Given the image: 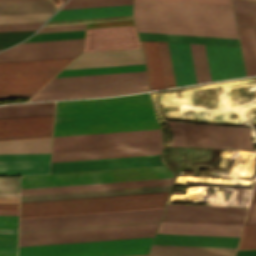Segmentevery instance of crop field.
I'll return each instance as SVG.
<instances>
[{
	"label": "crop field",
	"instance_id": "obj_1",
	"mask_svg": "<svg viewBox=\"0 0 256 256\" xmlns=\"http://www.w3.org/2000/svg\"><path fill=\"white\" fill-rule=\"evenodd\" d=\"M154 128L148 93L56 102L54 136Z\"/></svg>",
	"mask_w": 256,
	"mask_h": 256
},
{
	"label": "crop field",
	"instance_id": "obj_2",
	"mask_svg": "<svg viewBox=\"0 0 256 256\" xmlns=\"http://www.w3.org/2000/svg\"><path fill=\"white\" fill-rule=\"evenodd\" d=\"M138 31L238 38L232 7L135 0Z\"/></svg>",
	"mask_w": 256,
	"mask_h": 256
},
{
	"label": "crop field",
	"instance_id": "obj_3",
	"mask_svg": "<svg viewBox=\"0 0 256 256\" xmlns=\"http://www.w3.org/2000/svg\"><path fill=\"white\" fill-rule=\"evenodd\" d=\"M169 192L21 203L20 218L164 207Z\"/></svg>",
	"mask_w": 256,
	"mask_h": 256
},
{
	"label": "crop field",
	"instance_id": "obj_4",
	"mask_svg": "<svg viewBox=\"0 0 256 256\" xmlns=\"http://www.w3.org/2000/svg\"><path fill=\"white\" fill-rule=\"evenodd\" d=\"M73 59L0 64V94L38 91Z\"/></svg>",
	"mask_w": 256,
	"mask_h": 256
},
{
	"label": "crop field",
	"instance_id": "obj_5",
	"mask_svg": "<svg viewBox=\"0 0 256 256\" xmlns=\"http://www.w3.org/2000/svg\"><path fill=\"white\" fill-rule=\"evenodd\" d=\"M167 177H173V174L165 166H158L21 177V188Z\"/></svg>",
	"mask_w": 256,
	"mask_h": 256
},
{
	"label": "crop field",
	"instance_id": "obj_6",
	"mask_svg": "<svg viewBox=\"0 0 256 256\" xmlns=\"http://www.w3.org/2000/svg\"><path fill=\"white\" fill-rule=\"evenodd\" d=\"M172 145L248 148L249 128L170 124Z\"/></svg>",
	"mask_w": 256,
	"mask_h": 256
},
{
	"label": "crop field",
	"instance_id": "obj_7",
	"mask_svg": "<svg viewBox=\"0 0 256 256\" xmlns=\"http://www.w3.org/2000/svg\"><path fill=\"white\" fill-rule=\"evenodd\" d=\"M161 217L20 227L19 238L151 229Z\"/></svg>",
	"mask_w": 256,
	"mask_h": 256
},
{
	"label": "crop field",
	"instance_id": "obj_8",
	"mask_svg": "<svg viewBox=\"0 0 256 256\" xmlns=\"http://www.w3.org/2000/svg\"><path fill=\"white\" fill-rule=\"evenodd\" d=\"M155 142L160 129L54 137L52 150Z\"/></svg>",
	"mask_w": 256,
	"mask_h": 256
},
{
	"label": "crop field",
	"instance_id": "obj_9",
	"mask_svg": "<svg viewBox=\"0 0 256 256\" xmlns=\"http://www.w3.org/2000/svg\"><path fill=\"white\" fill-rule=\"evenodd\" d=\"M83 39L20 43L0 52V63L69 58L82 52Z\"/></svg>",
	"mask_w": 256,
	"mask_h": 256
},
{
	"label": "crop field",
	"instance_id": "obj_10",
	"mask_svg": "<svg viewBox=\"0 0 256 256\" xmlns=\"http://www.w3.org/2000/svg\"><path fill=\"white\" fill-rule=\"evenodd\" d=\"M153 237L19 247L18 256L149 247Z\"/></svg>",
	"mask_w": 256,
	"mask_h": 256
},
{
	"label": "crop field",
	"instance_id": "obj_11",
	"mask_svg": "<svg viewBox=\"0 0 256 256\" xmlns=\"http://www.w3.org/2000/svg\"><path fill=\"white\" fill-rule=\"evenodd\" d=\"M141 47L134 26L87 29L84 51Z\"/></svg>",
	"mask_w": 256,
	"mask_h": 256
},
{
	"label": "crop field",
	"instance_id": "obj_12",
	"mask_svg": "<svg viewBox=\"0 0 256 256\" xmlns=\"http://www.w3.org/2000/svg\"><path fill=\"white\" fill-rule=\"evenodd\" d=\"M205 47L212 81L245 76L239 47Z\"/></svg>",
	"mask_w": 256,
	"mask_h": 256
},
{
	"label": "crop field",
	"instance_id": "obj_13",
	"mask_svg": "<svg viewBox=\"0 0 256 256\" xmlns=\"http://www.w3.org/2000/svg\"><path fill=\"white\" fill-rule=\"evenodd\" d=\"M163 164L160 155L51 163V173Z\"/></svg>",
	"mask_w": 256,
	"mask_h": 256
},
{
	"label": "crop field",
	"instance_id": "obj_14",
	"mask_svg": "<svg viewBox=\"0 0 256 256\" xmlns=\"http://www.w3.org/2000/svg\"><path fill=\"white\" fill-rule=\"evenodd\" d=\"M144 63L141 48L83 52L65 69Z\"/></svg>",
	"mask_w": 256,
	"mask_h": 256
},
{
	"label": "crop field",
	"instance_id": "obj_15",
	"mask_svg": "<svg viewBox=\"0 0 256 256\" xmlns=\"http://www.w3.org/2000/svg\"><path fill=\"white\" fill-rule=\"evenodd\" d=\"M164 208L20 219V226L161 216Z\"/></svg>",
	"mask_w": 256,
	"mask_h": 256
},
{
	"label": "crop field",
	"instance_id": "obj_16",
	"mask_svg": "<svg viewBox=\"0 0 256 256\" xmlns=\"http://www.w3.org/2000/svg\"><path fill=\"white\" fill-rule=\"evenodd\" d=\"M53 115L0 119V138L52 134Z\"/></svg>",
	"mask_w": 256,
	"mask_h": 256
},
{
	"label": "crop field",
	"instance_id": "obj_17",
	"mask_svg": "<svg viewBox=\"0 0 256 256\" xmlns=\"http://www.w3.org/2000/svg\"><path fill=\"white\" fill-rule=\"evenodd\" d=\"M50 154L0 155V174L49 173Z\"/></svg>",
	"mask_w": 256,
	"mask_h": 256
},
{
	"label": "crop field",
	"instance_id": "obj_18",
	"mask_svg": "<svg viewBox=\"0 0 256 256\" xmlns=\"http://www.w3.org/2000/svg\"><path fill=\"white\" fill-rule=\"evenodd\" d=\"M147 84L146 75L50 82L41 91L55 92Z\"/></svg>",
	"mask_w": 256,
	"mask_h": 256
},
{
	"label": "crop field",
	"instance_id": "obj_19",
	"mask_svg": "<svg viewBox=\"0 0 256 256\" xmlns=\"http://www.w3.org/2000/svg\"><path fill=\"white\" fill-rule=\"evenodd\" d=\"M155 231H156V229L123 231V232H109V233H95V234H81V235H67V236H53V237H39V238H25V239H19V246L79 242V241H93V240H106V239H120V238H133V237H147V236H153Z\"/></svg>",
	"mask_w": 256,
	"mask_h": 256
},
{
	"label": "crop field",
	"instance_id": "obj_20",
	"mask_svg": "<svg viewBox=\"0 0 256 256\" xmlns=\"http://www.w3.org/2000/svg\"><path fill=\"white\" fill-rule=\"evenodd\" d=\"M242 226L161 222L156 233L239 237Z\"/></svg>",
	"mask_w": 256,
	"mask_h": 256
},
{
	"label": "crop field",
	"instance_id": "obj_21",
	"mask_svg": "<svg viewBox=\"0 0 256 256\" xmlns=\"http://www.w3.org/2000/svg\"><path fill=\"white\" fill-rule=\"evenodd\" d=\"M172 179L173 178L125 181V182H111V183H97V184H83V185H69V186H55V187H41V188H27V189H21V195L82 191V190H96V189H110V188H123V187H137V186H151V185H165V184H171Z\"/></svg>",
	"mask_w": 256,
	"mask_h": 256
},
{
	"label": "crop field",
	"instance_id": "obj_22",
	"mask_svg": "<svg viewBox=\"0 0 256 256\" xmlns=\"http://www.w3.org/2000/svg\"><path fill=\"white\" fill-rule=\"evenodd\" d=\"M171 185L21 196V202L169 191Z\"/></svg>",
	"mask_w": 256,
	"mask_h": 256
},
{
	"label": "crop field",
	"instance_id": "obj_23",
	"mask_svg": "<svg viewBox=\"0 0 256 256\" xmlns=\"http://www.w3.org/2000/svg\"><path fill=\"white\" fill-rule=\"evenodd\" d=\"M161 143L52 151V159L160 151Z\"/></svg>",
	"mask_w": 256,
	"mask_h": 256
},
{
	"label": "crop field",
	"instance_id": "obj_24",
	"mask_svg": "<svg viewBox=\"0 0 256 256\" xmlns=\"http://www.w3.org/2000/svg\"><path fill=\"white\" fill-rule=\"evenodd\" d=\"M168 45L176 86L196 83L189 44Z\"/></svg>",
	"mask_w": 256,
	"mask_h": 256
},
{
	"label": "crop field",
	"instance_id": "obj_25",
	"mask_svg": "<svg viewBox=\"0 0 256 256\" xmlns=\"http://www.w3.org/2000/svg\"><path fill=\"white\" fill-rule=\"evenodd\" d=\"M239 238L156 234L152 244L236 248Z\"/></svg>",
	"mask_w": 256,
	"mask_h": 256
},
{
	"label": "crop field",
	"instance_id": "obj_26",
	"mask_svg": "<svg viewBox=\"0 0 256 256\" xmlns=\"http://www.w3.org/2000/svg\"><path fill=\"white\" fill-rule=\"evenodd\" d=\"M245 215L165 211L162 221L242 225Z\"/></svg>",
	"mask_w": 256,
	"mask_h": 256
},
{
	"label": "crop field",
	"instance_id": "obj_27",
	"mask_svg": "<svg viewBox=\"0 0 256 256\" xmlns=\"http://www.w3.org/2000/svg\"><path fill=\"white\" fill-rule=\"evenodd\" d=\"M146 90H148L147 85H141V86L117 87V88L43 93V94H36L29 101L66 99V98H77V97L111 96V95H119V94H125V93L142 92Z\"/></svg>",
	"mask_w": 256,
	"mask_h": 256
},
{
	"label": "crop field",
	"instance_id": "obj_28",
	"mask_svg": "<svg viewBox=\"0 0 256 256\" xmlns=\"http://www.w3.org/2000/svg\"><path fill=\"white\" fill-rule=\"evenodd\" d=\"M132 5L59 10L49 21L131 15Z\"/></svg>",
	"mask_w": 256,
	"mask_h": 256
},
{
	"label": "crop field",
	"instance_id": "obj_29",
	"mask_svg": "<svg viewBox=\"0 0 256 256\" xmlns=\"http://www.w3.org/2000/svg\"><path fill=\"white\" fill-rule=\"evenodd\" d=\"M236 249L152 245L148 255L234 256Z\"/></svg>",
	"mask_w": 256,
	"mask_h": 256
},
{
	"label": "crop field",
	"instance_id": "obj_30",
	"mask_svg": "<svg viewBox=\"0 0 256 256\" xmlns=\"http://www.w3.org/2000/svg\"><path fill=\"white\" fill-rule=\"evenodd\" d=\"M47 0H20L0 2V15L54 12Z\"/></svg>",
	"mask_w": 256,
	"mask_h": 256
},
{
	"label": "crop field",
	"instance_id": "obj_31",
	"mask_svg": "<svg viewBox=\"0 0 256 256\" xmlns=\"http://www.w3.org/2000/svg\"><path fill=\"white\" fill-rule=\"evenodd\" d=\"M140 39L239 46L238 39L138 32Z\"/></svg>",
	"mask_w": 256,
	"mask_h": 256
},
{
	"label": "crop field",
	"instance_id": "obj_32",
	"mask_svg": "<svg viewBox=\"0 0 256 256\" xmlns=\"http://www.w3.org/2000/svg\"><path fill=\"white\" fill-rule=\"evenodd\" d=\"M51 138L0 142V154L50 153Z\"/></svg>",
	"mask_w": 256,
	"mask_h": 256
},
{
	"label": "crop field",
	"instance_id": "obj_33",
	"mask_svg": "<svg viewBox=\"0 0 256 256\" xmlns=\"http://www.w3.org/2000/svg\"><path fill=\"white\" fill-rule=\"evenodd\" d=\"M247 76L256 75V28L237 26Z\"/></svg>",
	"mask_w": 256,
	"mask_h": 256
},
{
	"label": "crop field",
	"instance_id": "obj_34",
	"mask_svg": "<svg viewBox=\"0 0 256 256\" xmlns=\"http://www.w3.org/2000/svg\"><path fill=\"white\" fill-rule=\"evenodd\" d=\"M54 102L0 106V118L53 114Z\"/></svg>",
	"mask_w": 256,
	"mask_h": 256
},
{
	"label": "crop field",
	"instance_id": "obj_35",
	"mask_svg": "<svg viewBox=\"0 0 256 256\" xmlns=\"http://www.w3.org/2000/svg\"><path fill=\"white\" fill-rule=\"evenodd\" d=\"M197 83L211 81L204 45L190 44Z\"/></svg>",
	"mask_w": 256,
	"mask_h": 256
},
{
	"label": "crop field",
	"instance_id": "obj_36",
	"mask_svg": "<svg viewBox=\"0 0 256 256\" xmlns=\"http://www.w3.org/2000/svg\"><path fill=\"white\" fill-rule=\"evenodd\" d=\"M139 70H145L144 64L63 70L56 77L87 75V74H100V73H113V72H126V71H139Z\"/></svg>",
	"mask_w": 256,
	"mask_h": 256
},
{
	"label": "crop field",
	"instance_id": "obj_37",
	"mask_svg": "<svg viewBox=\"0 0 256 256\" xmlns=\"http://www.w3.org/2000/svg\"><path fill=\"white\" fill-rule=\"evenodd\" d=\"M154 89L165 88L156 42L146 41Z\"/></svg>",
	"mask_w": 256,
	"mask_h": 256
},
{
	"label": "crop field",
	"instance_id": "obj_38",
	"mask_svg": "<svg viewBox=\"0 0 256 256\" xmlns=\"http://www.w3.org/2000/svg\"><path fill=\"white\" fill-rule=\"evenodd\" d=\"M247 208L167 204L165 210L245 214Z\"/></svg>",
	"mask_w": 256,
	"mask_h": 256
},
{
	"label": "crop field",
	"instance_id": "obj_39",
	"mask_svg": "<svg viewBox=\"0 0 256 256\" xmlns=\"http://www.w3.org/2000/svg\"><path fill=\"white\" fill-rule=\"evenodd\" d=\"M166 88L175 86L167 43L157 42Z\"/></svg>",
	"mask_w": 256,
	"mask_h": 256
},
{
	"label": "crop field",
	"instance_id": "obj_40",
	"mask_svg": "<svg viewBox=\"0 0 256 256\" xmlns=\"http://www.w3.org/2000/svg\"><path fill=\"white\" fill-rule=\"evenodd\" d=\"M148 249L149 248L84 252V253H69V254H54V255H40V256H126V255L147 254Z\"/></svg>",
	"mask_w": 256,
	"mask_h": 256
},
{
	"label": "crop field",
	"instance_id": "obj_41",
	"mask_svg": "<svg viewBox=\"0 0 256 256\" xmlns=\"http://www.w3.org/2000/svg\"><path fill=\"white\" fill-rule=\"evenodd\" d=\"M133 0H69L61 9L132 4Z\"/></svg>",
	"mask_w": 256,
	"mask_h": 256
},
{
	"label": "crop field",
	"instance_id": "obj_42",
	"mask_svg": "<svg viewBox=\"0 0 256 256\" xmlns=\"http://www.w3.org/2000/svg\"><path fill=\"white\" fill-rule=\"evenodd\" d=\"M83 37H84V30L42 33V34H34L32 37H30L28 40H26L24 42L60 40V39H76V38H83Z\"/></svg>",
	"mask_w": 256,
	"mask_h": 256
},
{
	"label": "crop field",
	"instance_id": "obj_43",
	"mask_svg": "<svg viewBox=\"0 0 256 256\" xmlns=\"http://www.w3.org/2000/svg\"><path fill=\"white\" fill-rule=\"evenodd\" d=\"M52 13L0 16V23L45 21Z\"/></svg>",
	"mask_w": 256,
	"mask_h": 256
},
{
	"label": "crop field",
	"instance_id": "obj_44",
	"mask_svg": "<svg viewBox=\"0 0 256 256\" xmlns=\"http://www.w3.org/2000/svg\"><path fill=\"white\" fill-rule=\"evenodd\" d=\"M256 248V224L245 225L238 249Z\"/></svg>",
	"mask_w": 256,
	"mask_h": 256
},
{
	"label": "crop field",
	"instance_id": "obj_45",
	"mask_svg": "<svg viewBox=\"0 0 256 256\" xmlns=\"http://www.w3.org/2000/svg\"><path fill=\"white\" fill-rule=\"evenodd\" d=\"M0 193H19V177H0Z\"/></svg>",
	"mask_w": 256,
	"mask_h": 256
},
{
	"label": "crop field",
	"instance_id": "obj_46",
	"mask_svg": "<svg viewBox=\"0 0 256 256\" xmlns=\"http://www.w3.org/2000/svg\"><path fill=\"white\" fill-rule=\"evenodd\" d=\"M17 234H0V251H16Z\"/></svg>",
	"mask_w": 256,
	"mask_h": 256
},
{
	"label": "crop field",
	"instance_id": "obj_47",
	"mask_svg": "<svg viewBox=\"0 0 256 256\" xmlns=\"http://www.w3.org/2000/svg\"><path fill=\"white\" fill-rule=\"evenodd\" d=\"M235 11L256 13L255 0H233Z\"/></svg>",
	"mask_w": 256,
	"mask_h": 256
},
{
	"label": "crop field",
	"instance_id": "obj_48",
	"mask_svg": "<svg viewBox=\"0 0 256 256\" xmlns=\"http://www.w3.org/2000/svg\"><path fill=\"white\" fill-rule=\"evenodd\" d=\"M140 74H146V72L145 71H139V72H126V73H113V74L61 77V78H54L52 81L71 80V79H85V78H98V77H112V76H126V75H140Z\"/></svg>",
	"mask_w": 256,
	"mask_h": 256
},
{
	"label": "crop field",
	"instance_id": "obj_49",
	"mask_svg": "<svg viewBox=\"0 0 256 256\" xmlns=\"http://www.w3.org/2000/svg\"><path fill=\"white\" fill-rule=\"evenodd\" d=\"M43 22L0 24V31L37 29Z\"/></svg>",
	"mask_w": 256,
	"mask_h": 256
},
{
	"label": "crop field",
	"instance_id": "obj_50",
	"mask_svg": "<svg viewBox=\"0 0 256 256\" xmlns=\"http://www.w3.org/2000/svg\"><path fill=\"white\" fill-rule=\"evenodd\" d=\"M156 1H170V2H184V3H198V4H212V5L232 6L231 0H156Z\"/></svg>",
	"mask_w": 256,
	"mask_h": 256
},
{
	"label": "crop field",
	"instance_id": "obj_51",
	"mask_svg": "<svg viewBox=\"0 0 256 256\" xmlns=\"http://www.w3.org/2000/svg\"><path fill=\"white\" fill-rule=\"evenodd\" d=\"M237 24L256 26V14L235 12Z\"/></svg>",
	"mask_w": 256,
	"mask_h": 256
},
{
	"label": "crop field",
	"instance_id": "obj_52",
	"mask_svg": "<svg viewBox=\"0 0 256 256\" xmlns=\"http://www.w3.org/2000/svg\"><path fill=\"white\" fill-rule=\"evenodd\" d=\"M85 24L42 27L37 33L84 29Z\"/></svg>",
	"mask_w": 256,
	"mask_h": 256
},
{
	"label": "crop field",
	"instance_id": "obj_53",
	"mask_svg": "<svg viewBox=\"0 0 256 256\" xmlns=\"http://www.w3.org/2000/svg\"><path fill=\"white\" fill-rule=\"evenodd\" d=\"M154 154H160V152L140 153V154H126V155H113V156H99V157H86V158H72V159H58V160H52L51 162L71 161V160H85V159H99V158H112V157H126V156H140V155H154Z\"/></svg>",
	"mask_w": 256,
	"mask_h": 256
},
{
	"label": "crop field",
	"instance_id": "obj_54",
	"mask_svg": "<svg viewBox=\"0 0 256 256\" xmlns=\"http://www.w3.org/2000/svg\"><path fill=\"white\" fill-rule=\"evenodd\" d=\"M18 216H0V228H17Z\"/></svg>",
	"mask_w": 256,
	"mask_h": 256
},
{
	"label": "crop field",
	"instance_id": "obj_55",
	"mask_svg": "<svg viewBox=\"0 0 256 256\" xmlns=\"http://www.w3.org/2000/svg\"><path fill=\"white\" fill-rule=\"evenodd\" d=\"M134 25L133 21L87 24V28Z\"/></svg>",
	"mask_w": 256,
	"mask_h": 256
},
{
	"label": "crop field",
	"instance_id": "obj_56",
	"mask_svg": "<svg viewBox=\"0 0 256 256\" xmlns=\"http://www.w3.org/2000/svg\"><path fill=\"white\" fill-rule=\"evenodd\" d=\"M256 223V203H250L245 224Z\"/></svg>",
	"mask_w": 256,
	"mask_h": 256
},
{
	"label": "crop field",
	"instance_id": "obj_57",
	"mask_svg": "<svg viewBox=\"0 0 256 256\" xmlns=\"http://www.w3.org/2000/svg\"><path fill=\"white\" fill-rule=\"evenodd\" d=\"M36 92L30 93H16V94H1L0 99H9V98H23V97H31Z\"/></svg>",
	"mask_w": 256,
	"mask_h": 256
},
{
	"label": "crop field",
	"instance_id": "obj_58",
	"mask_svg": "<svg viewBox=\"0 0 256 256\" xmlns=\"http://www.w3.org/2000/svg\"><path fill=\"white\" fill-rule=\"evenodd\" d=\"M140 42H141V45H142V48H143V51H144V55H145V59H146L147 73H148V81H149V88H150V90H152V89H153V86H152V80H151V74H150V68H149V62H148L146 44H145V41H140Z\"/></svg>",
	"mask_w": 256,
	"mask_h": 256
},
{
	"label": "crop field",
	"instance_id": "obj_59",
	"mask_svg": "<svg viewBox=\"0 0 256 256\" xmlns=\"http://www.w3.org/2000/svg\"><path fill=\"white\" fill-rule=\"evenodd\" d=\"M0 204H18V198H0Z\"/></svg>",
	"mask_w": 256,
	"mask_h": 256
},
{
	"label": "crop field",
	"instance_id": "obj_60",
	"mask_svg": "<svg viewBox=\"0 0 256 256\" xmlns=\"http://www.w3.org/2000/svg\"><path fill=\"white\" fill-rule=\"evenodd\" d=\"M52 135H46V136H32V137H18V138H5L0 139V141L4 140H18V139H31V138H45V137H51Z\"/></svg>",
	"mask_w": 256,
	"mask_h": 256
},
{
	"label": "crop field",
	"instance_id": "obj_61",
	"mask_svg": "<svg viewBox=\"0 0 256 256\" xmlns=\"http://www.w3.org/2000/svg\"><path fill=\"white\" fill-rule=\"evenodd\" d=\"M0 210H18V205H0Z\"/></svg>",
	"mask_w": 256,
	"mask_h": 256
},
{
	"label": "crop field",
	"instance_id": "obj_62",
	"mask_svg": "<svg viewBox=\"0 0 256 256\" xmlns=\"http://www.w3.org/2000/svg\"><path fill=\"white\" fill-rule=\"evenodd\" d=\"M0 215H18V211H0Z\"/></svg>",
	"mask_w": 256,
	"mask_h": 256
},
{
	"label": "crop field",
	"instance_id": "obj_63",
	"mask_svg": "<svg viewBox=\"0 0 256 256\" xmlns=\"http://www.w3.org/2000/svg\"><path fill=\"white\" fill-rule=\"evenodd\" d=\"M0 233H17V229H0Z\"/></svg>",
	"mask_w": 256,
	"mask_h": 256
},
{
	"label": "crop field",
	"instance_id": "obj_64",
	"mask_svg": "<svg viewBox=\"0 0 256 256\" xmlns=\"http://www.w3.org/2000/svg\"><path fill=\"white\" fill-rule=\"evenodd\" d=\"M0 256H16V252H0Z\"/></svg>",
	"mask_w": 256,
	"mask_h": 256
},
{
	"label": "crop field",
	"instance_id": "obj_65",
	"mask_svg": "<svg viewBox=\"0 0 256 256\" xmlns=\"http://www.w3.org/2000/svg\"><path fill=\"white\" fill-rule=\"evenodd\" d=\"M18 194H0V197H18Z\"/></svg>",
	"mask_w": 256,
	"mask_h": 256
},
{
	"label": "crop field",
	"instance_id": "obj_66",
	"mask_svg": "<svg viewBox=\"0 0 256 256\" xmlns=\"http://www.w3.org/2000/svg\"><path fill=\"white\" fill-rule=\"evenodd\" d=\"M53 4H55L57 7L63 2L62 0H50Z\"/></svg>",
	"mask_w": 256,
	"mask_h": 256
},
{
	"label": "crop field",
	"instance_id": "obj_67",
	"mask_svg": "<svg viewBox=\"0 0 256 256\" xmlns=\"http://www.w3.org/2000/svg\"><path fill=\"white\" fill-rule=\"evenodd\" d=\"M250 202H256V192L252 193L251 201Z\"/></svg>",
	"mask_w": 256,
	"mask_h": 256
},
{
	"label": "crop field",
	"instance_id": "obj_68",
	"mask_svg": "<svg viewBox=\"0 0 256 256\" xmlns=\"http://www.w3.org/2000/svg\"><path fill=\"white\" fill-rule=\"evenodd\" d=\"M253 191H256V183H255V187H254V190Z\"/></svg>",
	"mask_w": 256,
	"mask_h": 256
},
{
	"label": "crop field",
	"instance_id": "obj_69",
	"mask_svg": "<svg viewBox=\"0 0 256 256\" xmlns=\"http://www.w3.org/2000/svg\"><path fill=\"white\" fill-rule=\"evenodd\" d=\"M140 256H147V255H140Z\"/></svg>",
	"mask_w": 256,
	"mask_h": 256
},
{
	"label": "crop field",
	"instance_id": "obj_70",
	"mask_svg": "<svg viewBox=\"0 0 256 256\" xmlns=\"http://www.w3.org/2000/svg\"><path fill=\"white\" fill-rule=\"evenodd\" d=\"M64 1V0H63Z\"/></svg>",
	"mask_w": 256,
	"mask_h": 256
}]
</instances>
